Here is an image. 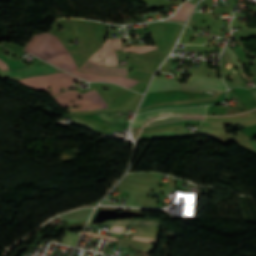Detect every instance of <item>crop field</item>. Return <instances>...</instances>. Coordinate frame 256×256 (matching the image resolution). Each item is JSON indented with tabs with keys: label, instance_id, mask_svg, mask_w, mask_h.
I'll return each instance as SVG.
<instances>
[{
	"label": "crop field",
	"instance_id": "obj_1",
	"mask_svg": "<svg viewBox=\"0 0 256 256\" xmlns=\"http://www.w3.org/2000/svg\"><path fill=\"white\" fill-rule=\"evenodd\" d=\"M205 89L226 92L222 79L190 76L182 90L204 92ZM214 91L213 95L189 93L180 90L148 93L139 112L163 107H183L203 104H215L224 100L226 93Z\"/></svg>",
	"mask_w": 256,
	"mask_h": 256
},
{
	"label": "crop field",
	"instance_id": "obj_2",
	"mask_svg": "<svg viewBox=\"0 0 256 256\" xmlns=\"http://www.w3.org/2000/svg\"><path fill=\"white\" fill-rule=\"evenodd\" d=\"M24 50L66 71L78 70L71 55L58 38L50 33L34 36Z\"/></svg>",
	"mask_w": 256,
	"mask_h": 256
},
{
	"label": "crop field",
	"instance_id": "obj_3",
	"mask_svg": "<svg viewBox=\"0 0 256 256\" xmlns=\"http://www.w3.org/2000/svg\"><path fill=\"white\" fill-rule=\"evenodd\" d=\"M101 48V47H100ZM114 49H121V40L107 39L102 48L96 52L89 61L117 66V58ZM102 60L103 62H100ZM100 65L92 62H86L80 67V70L87 71L98 75L124 76L127 75L126 68H118L114 66Z\"/></svg>",
	"mask_w": 256,
	"mask_h": 256
},
{
	"label": "crop field",
	"instance_id": "obj_4",
	"mask_svg": "<svg viewBox=\"0 0 256 256\" xmlns=\"http://www.w3.org/2000/svg\"><path fill=\"white\" fill-rule=\"evenodd\" d=\"M0 68L1 72L17 81L30 76L64 72L50 64L26 68L19 60L7 59L3 53H0Z\"/></svg>",
	"mask_w": 256,
	"mask_h": 256
},
{
	"label": "crop field",
	"instance_id": "obj_5",
	"mask_svg": "<svg viewBox=\"0 0 256 256\" xmlns=\"http://www.w3.org/2000/svg\"><path fill=\"white\" fill-rule=\"evenodd\" d=\"M77 96H80V94L77 91H67L58 95L55 100L62 108L81 104L82 108L75 110H70L69 108V112L89 111L103 109L107 107V104L103 101L98 92L94 90L82 94L83 99L81 100L77 99ZM71 100H74V102H70Z\"/></svg>",
	"mask_w": 256,
	"mask_h": 256
},
{
	"label": "crop field",
	"instance_id": "obj_6",
	"mask_svg": "<svg viewBox=\"0 0 256 256\" xmlns=\"http://www.w3.org/2000/svg\"><path fill=\"white\" fill-rule=\"evenodd\" d=\"M79 80L67 73L62 74H53V75H46V76H37V77H30L19 81L25 86L31 87L37 91L43 90L46 91L49 95L53 96L55 94L60 93L59 88L63 86L66 89L70 87L73 81ZM47 85L52 86V91L54 94H51Z\"/></svg>",
	"mask_w": 256,
	"mask_h": 256
},
{
	"label": "crop field",
	"instance_id": "obj_7",
	"mask_svg": "<svg viewBox=\"0 0 256 256\" xmlns=\"http://www.w3.org/2000/svg\"><path fill=\"white\" fill-rule=\"evenodd\" d=\"M206 106L192 108H177V109H160L142 113L138 115L134 121L133 127H139L150 119L166 113H205Z\"/></svg>",
	"mask_w": 256,
	"mask_h": 256
},
{
	"label": "crop field",
	"instance_id": "obj_8",
	"mask_svg": "<svg viewBox=\"0 0 256 256\" xmlns=\"http://www.w3.org/2000/svg\"><path fill=\"white\" fill-rule=\"evenodd\" d=\"M86 81H106V82H113L117 83L123 86H126L128 88L134 86L137 84L138 80L129 79V78H121V77H100L96 75L86 74V73H80L79 71H72L70 72Z\"/></svg>",
	"mask_w": 256,
	"mask_h": 256
},
{
	"label": "crop field",
	"instance_id": "obj_9",
	"mask_svg": "<svg viewBox=\"0 0 256 256\" xmlns=\"http://www.w3.org/2000/svg\"><path fill=\"white\" fill-rule=\"evenodd\" d=\"M226 62L229 70H222V75L223 78L226 80L229 88L233 87V86H242V87H247L246 83L244 82V80L242 79L241 75L236 71L233 63L231 62V60L229 59V57L227 56L225 50L223 51L222 55H221V67H224V63ZM231 75L234 83H230L227 79L226 76ZM238 80L239 83L236 82V80Z\"/></svg>",
	"mask_w": 256,
	"mask_h": 256
},
{
	"label": "crop field",
	"instance_id": "obj_10",
	"mask_svg": "<svg viewBox=\"0 0 256 256\" xmlns=\"http://www.w3.org/2000/svg\"><path fill=\"white\" fill-rule=\"evenodd\" d=\"M101 225H129V226H160V221H142V220H116L107 221Z\"/></svg>",
	"mask_w": 256,
	"mask_h": 256
},
{
	"label": "crop field",
	"instance_id": "obj_11",
	"mask_svg": "<svg viewBox=\"0 0 256 256\" xmlns=\"http://www.w3.org/2000/svg\"><path fill=\"white\" fill-rule=\"evenodd\" d=\"M179 117L204 118V117H196V116H179ZM186 120L202 121L203 119L178 118V116H168V117L157 118L151 121L150 123H148V125L145 127L153 126L157 124H167V123H173V122H179V121H186Z\"/></svg>",
	"mask_w": 256,
	"mask_h": 256
},
{
	"label": "crop field",
	"instance_id": "obj_12",
	"mask_svg": "<svg viewBox=\"0 0 256 256\" xmlns=\"http://www.w3.org/2000/svg\"><path fill=\"white\" fill-rule=\"evenodd\" d=\"M91 210L92 208L77 210V211L63 215V218L65 219V221H68V222H80L89 217Z\"/></svg>",
	"mask_w": 256,
	"mask_h": 256
},
{
	"label": "crop field",
	"instance_id": "obj_13",
	"mask_svg": "<svg viewBox=\"0 0 256 256\" xmlns=\"http://www.w3.org/2000/svg\"><path fill=\"white\" fill-rule=\"evenodd\" d=\"M193 6H194V5H192V4L188 3V2L184 3V4L179 8V10L177 11L176 15L173 16V17H171V18H169V19H167L166 21H169V20H171V19H173V18L186 19L187 16H188V14H189V12H190V10H191V8H192Z\"/></svg>",
	"mask_w": 256,
	"mask_h": 256
},
{
	"label": "crop field",
	"instance_id": "obj_14",
	"mask_svg": "<svg viewBox=\"0 0 256 256\" xmlns=\"http://www.w3.org/2000/svg\"><path fill=\"white\" fill-rule=\"evenodd\" d=\"M226 52L228 53L230 59L232 60V62L235 64V66L238 68L240 74L242 75L243 78L247 77L244 73H243V69H242V65L241 63L237 62V57L234 54L233 50L229 48V45L227 44L226 48H225Z\"/></svg>",
	"mask_w": 256,
	"mask_h": 256
},
{
	"label": "crop field",
	"instance_id": "obj_15",
	"mask_svg": "<svg viewBox=\"0 0 256 256\" xmlns=\"http://www.w3.org/2000/svg\"><path fill=\"white\" fill-rule=\"evenodd\" d=\"M77 237H78V234L66 231L61 243L73 246Z\"/></svg>",
	"mask_w": 256,
	"mask_h": 256
},
{
	"label": "crop field",
	"instance_id": "obj_16",
	"mask_svg": "<svg viewBox=\"0 0 256 256\" xmlns=\"http://www.w3.org/2000/svg\"><path fill=\"white\" fill-rule=\"evenodd\" d=\"M156 45H150V46H139V47H128V48H123V52L126 51H136L138 53H144L152 49H156Z\"/></svg>",
	"mask_w": 256,
	"mask_h": 256
},
{
	"label": "crop field",
	"instance_id": "obj_17",
	"mask_svg": "<svg viewBox=\"0 0 256 256\" xmlns=\"http://www.w3.org/2000/svg\"><path fill=\"white\" fill-rule=\"evenodd\" d=\"M85 234H86V235H91V236L100 237V238H107V239H111V240L117 241V238L110 237V236L99 235V234H93V233H88V232H85Z\"/></svg>",
	"mask_w": 256,
	"mask_h": 256
},
{
	"label": "crop field",
	"instance_id": "obj_18",
	"mask_svg": "<svg viewBox=\"0 0 256 256\" xmlns=\"http://www.w3.org/2000/svg\"><path fill=\"white\" fill-rule=\"evenodd\" d=\"M132 239H134V240H139V241H143V242L154 243V244H155V242H156V240H153V239H145V238H139V237H135V236H133Z\"/></svg>",
	"mask_w": 256,
	"mask_h": 256
},
{
	"label": "crop field",
	"instance_id": "obj_19",
	"mask_svg": "<svg viewBox=\"0 0 256 256\" xmlns=\"http://www.w3.org/2000/svg\"><path fill=\"white\" fill-rule=\"evenodd\" d=\"M123 229L122 226H112L110 230L123 233Z\"/></svg>",
	"mask_w": 256,
	"mask_h": 256
}]
</instances>
